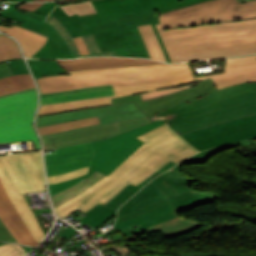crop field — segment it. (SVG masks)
Returning <instances> with one entry per match:
<instances>
[{"label":"crop field","mask_w":256,"mask_h":256,"mask_svg":"<svg viewBox=\"0 0 256 256\" xmlns=\"http://www.w3.org/2000/svg\"><path fill=\"white\" fill-rule=\"evenodd\" d=\"M69 73L35 79L41 94L111 85L115 95L41 105L38 116L111 105V98L136 93L145 101L186 89L192 84L173 89L169 86L195 81L189 63L123 66Z\"/></svg>","instance_id":"1"},{"label":"crop field","mask_w":256,"mask_h":256,"mask_svg":"<svg viewBox=\"0 0 256 256\" xmlns=\"http://www.w3.org/2000/svg\"><path fill=\"white\" fill-rule=\"evenodd\" d=\"M145 143L112 173L75 198L55 207L65 218L78 209L87 212L97 204H106L128 183L139 184L162 166L173 160L180 162L197 151L166 124L138 137Z\"/></svg>","instance_id":"2"},{"label":"crop field","mask_w":256,"mask_h":256,"mask_svg":"<svg viewBox=\"0 0 256 256\" xmlns=\"http://www.w3.org/2000/svg\"><path fill=\"white\" fill-rule=\"evenodd\" d=\"M156 26L173 62L256 53V19L182 29Z\"/></svg>","instance_id":"3"},{"label":"crop field","mask_w":256,"mask_h":256,"mask_svg":"<svg viewBox=\"0 0 256 256\" xmlns=\"http://www.w3.org/2000/svg\"><path fill=\"white\" fill-rule=\"evenodd\" d=\"M252 113H256V82L221 89L190 104L184 101L149 119L167 121L182 133Z\"/></svg>","instance_id":"4"},{"label":"crop field","mask_w":256,"mask_h":256,"mask_svg":"<svg viewBox=\"0 0 256 256\" xmlns=\"http://www.w3.org/2000/svg\"><path fill=\"white\" fill-rule=\"evenodd\" d=\"M99 17L86 18L90 28L85 29L78 15L69 17L59 6L55 15L69 30L72 37L85 36L123 28L158 24L153 15L155 6L178 0H90ZM148 9V11H146Z\"/></svg>","instance_id":"5"},{"label":"crop field","mask_w":256,"mask_h":256,"mask_svg":"<svg viewBox=\"0 0 256 256\" xmlns=\"http://www.w3.org/2000/svg\"><path fill=\"white\" fill-rule=\"evenodd\" d=\"M0 179L39 244L45 235L23 194L46 190L41 152L0 156Z\"/></svg>","instance_id":"6"},{"label":"crop field","mask_w":256,"mask_h":256,"mask_svg":"<svg viewBox=\"0 0 256 256\" xmlns=\"http://www.w3.org/2000/svg\"><path fill=\"white\" fill-rule=\"evenodd\" d=\"M254 18H256V0L243 2L239 0H209L160 14L163 29Z\"/></svg>","instance_id":"7"},{"label":"crop field","mask_w":256,"mask_h":256,"mask_svg":"<svg viewBox=\"0 0 256 256\" xmlns=\"http://www.w3.org/2000/svg\"><path fill=\"white\" fill-rule=\"evenodd\" d=\"M163 124L164 122L159 120L157 122L124 132L109 139L92 142L91 145L94 149V154L88 174L65 182L49 185L51 195L80 182L96 170L108 175L144 143L136 137Z\"/></svg>","instance_id":"8"},{"label":"crop field","mask_w":256,"mask_h":256,"mask_svg":"<svg viewBox=\"0 0 256 256\" xmlns=\"http://www.w3.org/2000/svg\"><path fill=\"white\" fill-rule=\"evenodd\" d=\"M37 91L0 98V142L33 140L41 149L33 127Z\"/></svg>","instance_id":"9"},{"label":"crop field","mask_w":256,"mask_h":256,"mask_svg":"<svg viewBox=\"0 0 256 256\" xmlns=\"http://www.w3.org/2000/svg\"><path fill=\"white\" fill-rule=\"evenodd\" d=\"M199 151L256 137V114L180 134Z\"/></svg>","instance_id":"10"},{"label":"crop field","mask_w":256,"mask_h":256,"mask_svg":"<svg viewBox=\"0 0 256 256\" xmlns=\"http://www.w3.org/2000/svg\"><path fill=\"white\" fill-rule=\"evenodd\" d=\"M220 147H223V146H220ZM220 147H216V148H220ZM216 148H212V149L200 152L188 158L187 160L183 161L182 163L178 164L176 167L172 168L168 172L160 175L167 181V183L173 188V190L179 194L173 198L168 199L173 209L176 212L185 210L190 207L211 202L217 198V195L214 193L201 192V191L191 189L190 184L196 181L193 178L184 175L180 168L183 164L187 163L188 161L193 160L197 157H200Z\"/></svg>","instance_id":"11"},{"label":"crop field","mask_w":256,"mask_h":256,"mask_svg":"<svg viewBox=\"0 0 256 256\" xmlns=\"http://www.w3.org/2000/svg\"><path fill=\"white\" fill-rule=\"evenodd\" d=\"M151 123L148 118L116 122L106 126H98L69 133L44 137V150L82 144L109 138L132 128Z\"/></svg>","instance_id":"12"},{"label":"crop field","mask_w":256,"mask_h":256,"mask_svg":"<svg viewBox=\"0 0 256 256\" xmlns=\"http://www.w3.org/2000/svg\"><path fill=\"white\" fill-rule=\"evenodd\" d=\"M95 116H98L101 122V124H98V125H101V126L114 123L115 121L146 117L133 102H130V103L116 105V106H107V107H101V108H95V109H89V110H80V111L60 114V115L40 117V118H37V127L65 122V121L95 117ZM98 125H93V126H98ZM93 126H88V127H93ZM88 127H83V128H88ZM83 128H78V129H83ZM78 129H73V130H78ZM73 130L43 135L41 137L69 132Z\"/></svg>","instance_id":"13"},{"label":"crop field","mask_w":256,"mask_h":256,"mask_svg":"<svg viewBox=\"0 0 256 256\" xmlns=\"http://www.w3.org/2000/svg\"><path fill=\"white\" fill-rule=\"evenodd\" d=\"M217 90L218 89L215 87L211 78H209L187 90L176 92L161 98H157V99H153L145 102L142 101L139 94L120 97V98H114L112 99V101H113V105L133 101L141 109V111L147 117H149L175 104H178L184 100L191 102L193 100H196L204 95H208Z\"/></svg>","instance_id":"14"},{"label":"crop field","mask_w":256,"mask_h":256,"mask_svg":"<svg viewBox=\"0 0 256 256\" xmlns=\"http://www.w3.org/2000/svg\"><path fill=\"white\" fill-rule=\"evenodd\" d=\"M100 51L116 50V56L151 58L137 27L94 35Z\"/></svg>","instance_id":"15"},{"label":"crop field","mask_w":256,"mask_h":256,"mask_svg":"<svg viewBox=\"0 0 256 256\" xmlns=\"http://www.w3.org/2000/svg\"><path fill=\"white\" fill-rule=\"evenodd\" d=\"M55 150L57 153L45 156L48 176L89 165L93 154L89 143Z\"/></svg>","instance_id":"16"},{"label":"crop field","mask_w":256,"mask_h":256,"mask_svg":"<svg viewBox=\"0 0 256 256\" xmlns=\"http://www.w3.org/2000/svg\"><path fill=\"white\" fill-rule=\"evenodd\" d=\"M226 73L196 78L204 80L211 77L218 89L235 84L256 81V55L241 56L225 59Z\"/></svg>","instance_id":"17"},{"label":"crop field","mask_w":256,"mask_h":256,"mask_svg":"<svg viewBox=\"0 0 256 256\" xmlns=\"http://www.w3.org/2000/svg\"><path fill=\"white\" fill-rule=\"evenodd\" d=\"M1 16L11 18L17 21L23 22L24 27L33 29L37 32H40L46 36L47 42L46 44L33 56V58H74L71 51L67 47L66 43L60 36V34L49 24H45V26L30 22L12 15H8L0 12Z\"/></svg>","instance_id":"18"},{"label":"crop field","mask_w":256,"mask_h":256,"mask_svg":"<svg viewBox=\"0 0 256 256\" xmlns=\"http://www.w3.org/2000/svg\"><path fill=\"white\" fill-rule=\"evenodd\" d=\"M3 200V201H1ZM0 219L18 241V243L36 247L38 244L31 235L25 222L10 201L0 181Z\"/></svg>","instance_id":"19"},{"label":"crop field","mask_w":256,"mask_h":256,"mask_svg":"<svg viewBox=\"0 0 256 256\" xmlns=\"http://www.w3.org/2000/svg\"><path fill=\"white\" fill-rule=\"evenodd\" d=\"M177 195L160 176L153 179L144 189L123 205L118 216ZM117 216V217H118Z\"/></svg>","instance_id":"20"},{"label":"crop field","mask_w":256,"mask_h":256,"mask_svg":"<svg viewBox=\"0 0 256 256\" xmlns=\"http://www.w3.org/2000/svg\"><path fill=\"white\" fill-rule=\"evenodd\" d=\"M67 71L85 70L112 66L162 63L148 59L123 57H97L71 60H57Z\"/></svg>","instance_id":"21"},{"label":"crop field","mask_w":256,"mask_h":256,"mask_svg":"<svg viewBox=\"0 0 256 256\" xmlns=\"http://www.w3.org/2000/svg\"><path fill=\"white\" fill-rule=\"evenodd\" d=\"M15 26H17V28H15ZM0 30L14 36L20 41L26 57L38 51L45 44L47 38L33 30L14 24H12L11 27L0 25Z\"/></svg>","instance_id":"22"},{"label":"crop field","mask_w":256,"mask_h":256,"mask_svg":"<svg viewBox=\"0 0 256 256\" xmlns=\"http://www.w3.org/2000/svg\"><path fill=\"white\" fill-rule=\"evenodd\" d=\"M51 26H53L63 37L65 42L67 43L68 47L72 51L73 55L76 57H89V56H101V55H112L115 56V51L112 52H104L100 53L99 48L93 38V36H85L82 37L84 40V43L87 47V50L89 54L80 55L73 39L71 38L68 30L65 28V26L53 15H49L47 18V21Z\"/></svg>","instance_id":"23"},{"label":"crop field","mask_w":256,"mask_h":256,"mask_svg":"<svg viewBox=\"0 0 256 256\" xmlns=\"http://www.w3.org/2000/svg\"><path fill=\"white\" fill-rule=\"evenodd\" d=\"M202 225H204V224L177 217L172 220L149 227L145 230L148 233L162 230L165 237L170 238V237L180 236L182 234H185L187 232L195 230L196 228H198ZM140 232H142V231H140ZM133 235H131V236H133ZM131 236H129V237H131Z\"/></svg>","instance_id":"24"},{"label":"crop field","mask_w":256,"mask_h":256,"mask_svg":"<svg viewBox=\"0 0 256 256\" xmlns=\"http://www.w3.org/2000/svg\"><path fill=\"white\" fill-rule=\"evenodd\" d=\"M104 176L105 175L96 171L95 173H93L92 175H90L88 178L81 181L80 183L76 184L75 186H73L63 192L52 195L51 198H52L54 207L71 199L72 197L76 196L77 194L81 193L86 188H88L89 186H91L92 184H94L95 182H97L98 180L103 178Z\"/></svg>","instance_id":"25"},{"label":"crop field","mask_w":256,"mask_h":256,"mask_svg":"<svg viewBox=\"0 0 256 256\" xmlns=\"http://www.w3.org/2000/svg\"><path fill=\"white\" fill-rule=\"evenodd\" d=\"M36 87L30 74L0 79V95Z\"/></svg>","instance_id":"26"},{"label":"crop field","mask_w":256,"mask_h":256,"mask_svg":"<svg viewBox=\"0 0 256 256\" xmlns=\"http://www.w3.org/2000/svg\"><path fill=\"white\" fill-rule=\"evenodd\" d=\"M114 94L111 88L41 98V104Z\"/></svg>","instance_id":"27"},{"label":"crop field","mask_w":256,"mask_h":256,"mask_svg":"<svg viewBox=\"0 0 256 256\" xmlns=\"http://www.w3.org/2000/svg\"><path fill=\"white\" fill-rule=\"evenodd\" d=\"M153 59L165 61L151 25L138 27Z\"/></svg>","instance_id":"28"},{"label":"crop field","mask_w":256,"mask_h":256,"mask_svg":"<svg viewBox=\"0 0 256 256\" xmlns=\"http://www.w3.org/2000/svg\"><path fill=\"white\" fill-rule=\"evenodd\" d=\"M98 123L100 122L98 118L95 117V118H89V119H83V120H77V121L65 122V123H60V124H55L50 126L39 127L37 129L40 135H43V134L78 128V127L98 124Z\"/></svg>","instance_id":"29"},{"label":"crop field","mask_w":256,"mask_h":256,"mask_svg":"<svg viewBox=\"0 0 256 256\" xmlns=\"http://www.w3.org/2000/svg\"><path fill=\"white\" fill-rule=\"evenodd\" d=\"M23 57L18 44L11 38L0 36V62Z\"/></svg>","instance_id":"30"},{"label":"crop field","mask_w":256,"mask_h":256,"mask_svg":"<svg viewBox=\"0 0 256 256\" xmlns=\"http://www.w3.org/2000/svg\"><path fill=\"white\" fill-rule=\"evenodd\" d=\"M69 16L77 13L78 15L96 12L90 1L62 5L60 6Z\"/></svg>","instance_id":"31"},{"label":"crop field","mask_w":256,"mask_h":256,"mask_svg":"<svg viewBox=\"0 0 256 256\" xmlns=\"http://www.w3.org/2000/svg\"><path fill=\"white\" fill-rule=\"evenodd\" d=\"M169 208H171L170 203L165 205V206H163V207H160V208L148 211L146 213L134 216V217H132V218L126 220V221H123V222H120V223H116L114 227L117 228V229L125 227V226L133 224V223H135V222H137L139 220H142V219H145L147 217L159 214V213H161V212H163V211H165V210H167Z\"/></svg>","instance_id":"32"},{"label":"crop field","mask_w":256,"mask_h":256,"mask_svg":"<svg viewBox=\"0 0 256 256\" xmlns=\"http://www.w3.org/2000/svg\"><path fill=\"white\" fill-rule=\"evenodd\" d=\"M32 71L63 68L56 60L27 59Z\"/></svg>","instance_id":"33"},{"label":"crop field","mask_w":256,"mask_h":256,"mask_svg":"<svg viewBox=\"0 0 256 256\" xmlns=\"http://www.w3.org/2000/svg\"><path fill=\"white\" fill-rule=\"evenodd\" d=\"M88 167L89 166H86V167H83L81 169L71 171V172H68V173L55 175V176H50V177H48L49 184L65 181V180H68V179L75 178V177L81 176L83 174H86L87 171H88Z\"/></svg>","instance_id":"34"},{"label":"crop field","mask_w":256,"mask_h":256,"mask_svg":"<svg viewBox=\"0 0 256 256\" xmlns=\"http://www.w3.org/2000/svg\"><path fill=\"white\" fill-rule=\"evenodd\" d=\"M25 254L27 253L17 244L7 243L0 246V256H24Z\"/></svg>","instance_id":"35"},{"label":"crop field","mask_w":256,"mask_h":256,"mask_svg":"<svg viewBox=\"0 0 256 256\" xmlns=\"http://www.w3.org/2000/svg\"><path fill=\"white\" fill-rule=\"evenodd\" d=\"M201 1H205V0H182V1L175 2V3L155 7V10L158 11L159 13H162V12H166V11H169L172 9H176V8H179L182 6L190 5V4L201 2ZM176 6H178V7H176Z\"/></svg>","instance_id":"36"},{"label":"crop field","mask_w":256,"mask_h":256,"mask_svg":"<svg viewBox=\"0 0 256 256\" xmlns=\"http://www.w3.org/2000/svg\"><path fill=\"white\" fill-rule=\"evenodd\" d=\"M9 65L14 75L30 73L24 59L11 61Z\"/></svg>","instance_id":"37"},{"label":"crop field","mask_w":256,"mask_h":256,"mask_svg":"<svg viewBox=\"0 0 256 256\" xmlns=\"http://www.w3.org/2000/svg\"><path fill=\"white\" fill-rule=\"evenodd\" d=\"M166 203H168L167 199H166V200H163V201H161V202L155 203V204H153V205L147 206V207H145V208L139 209V210H137V211L131 212V213H129V214L123 215V216H121V217H118V218L116 219V222L123 221V220H125V219H127V218H129V217H131V216H134V215H137V214L146 212V211H148V210H151V209L160 207V206H162V205H164V204H166ZM116 222H115V223H116Z\"/></svg>","instance_id":"38"},{"label":"crop field","mask_w":256,"mask_h":256,"mask_svg":"<svg viewBox=\"0 0 256 256\" xmlns=\"http://www.w3.org/2000/svg\"><path fill=\"white\" fill-rule=\"evenodd\" d=\"M102 247L107 250V252L110 254V256H113V255L125 256L128 253H130V251H131L126 245L102 246Z\"/></svg>","instance_id":"39"},{"label":"crop field","mask_w":256,"mask_h":256,"mask_svg":"<svg viewBox=\"0 0 256 256\" xmlns=\"http://www.w3.org/2000/svg\"><path fill=\"white\" fill-rule=\"evenodd\" d=\"M174 217H177V214H176V213H173V214L164 216V217L159 218V219H157V220H154V221H152V222H150V223H147V224H145V225H142V226L137 227V228H135V229H132V230H130V231L124 232V234L127 235V236H129V235H131V234H133V233H136V232H138V231H140V230H142V229H144V228H147V227L152 226V225H155V224H157V223H160V222H163V221L172 219V218H174Z\"/></svg>","instance_id":"40"},{"label":"crop field","mask_w":256,"mask_h":256,"mask_svg":"<svg viewBox=\"0 0 256 256\" xmlns=\"http://www.w3.org/2000/svg\"><path fill=\"white\" fill-rule=\"evenodd\" d=\"M0 241H13L17 242L14 237L11 235V233L8 231V229L5 227V225L0 220Z\"/></svg>","instance_id":"41"},{"label":"crop field","mask_w":256,"mask_h":256,"mask_svg":"<svg viewBox=\"0 0 256 256\" xmlns=\"http://www.w3.org/2000/svg\"><path fill=\"white\" fill-rule=\"evenodd\" d=\"M34 77L48 76V75H57V74H68L65 69H56V70H45V71H36L32 72Z\"/></svg>","instance_id":"42"},{"label":"crop field","mask_w":256,"mask_h":256,"mask_svg":"<svg viewBox=\"0 0 256 256\" xmlns=\"http://www.w3.org/2000/svg\"><path fill=\"white\" fill-rule=\"evenodd\" d=\"M20 4H22V3L11 4L12 5L11 7L3 10L2 12L12 14V15H15V16H18V17H21V18H24V19H27V20H30V21H34V22H37V23H40V24H42V23L45 24V22H43V21H39V20H36V19H33V18H29V17L23 16V15H19V14L14 13L15 8Z\"/></svg>","instance_id":"43"},{"label":"crop field","mask_w":256,"mask_h":256,"mask_svg":"<svg viewBox=\"0 0 256 256\" xmlns=\"http://www.w3.org/2000/svg\"><path fill=\"white\" fill-rule=\"evenodd\" d=\"M176 165V163L174 162H169L167 165H165L164 167H162L160 170H158L157 172H155L153 175H151L150 177H148L146 180H144L143 182H141L138 186L142 187L143 185H145L147 182H149L151 179H153L155 176H157L158 174H160L161 172L171 168L172 166Z\"/></svg>","instance_id":"44"},{"label":"crop field","mask_w":256,"mask_h":256,"mask_svg":"<svg viewBox=\"0 0 256 256\" xmlns=\"http://www.w3.org/2000/svg\"><path fill=\"white\" fill-rule=\"evenodd\" d=\"M55 6H56V2L46 3L40 8H38L37 10H35L34 12L48 15Z\"/></svg>","instance_id":"45"},{"label":"crop field","mask_w":256,"mask_h":256,"mask_svg":"<svg viewBox=\"0 0 256 256\" xmlns=\"http://www.w3.org/2000/svg\"><path fill=\"white\" fill-rule=\"evenodd\" d=\"M152 27H153V29H154V32H155L156 37H157V39H158V42H159V44H160V46H161V49H162V51H163V54H164V56H165L166 61H167V62H171V60H170V58H169V56H168V53H167V51H166V49H165V46H164V44H163V42H162V40H161V37H160V35H159V33H158V30H157L156 26L154 25V26H152Z\"/></svg>","instance_id":"46"},{"label":"crop field","mask_w":256,"mask_h":256,"mask_svg":"<svg viewBox=\"0 0 256 256\" xmlns=\"http://www.w3.org/2000/svg\"><path fill=\"white\" fill-rule=\"evenodd\" d=\"M13 75L7 62L0 64V78Z\"/></svg>","instance_id":"47"},{"label":"crop field","mask_w":256,"mask_h":256,"mask_svg":"<svg viewBox=\"0 0 256 256\" xmlns=\"http://www.w3.org/2000/svg\"><path fill=\"white\" fill-rule=\"evenodd\" d=\"M77 232H78L77 230H75L73 227L69 226L63 232H61L59 235L69 239L70 237H72Z\"/></svg>","instance_id":"48"},{"label":"crop field","mask_w":256,"mask_h":256,"mask_svg":"<svg viewBox=\"0 0 256 256\" xmlns=\"http://www.w3.org/2000/svg\"><path fill=\"white\" fill-rule=\"evenodd\" d=\"M74 41L81 54L88 53L81 37L74 38Z\"/></svg>","instance_id":"49"},{"label":"crop field","mask_w":256,"mask_h":256,"mask_svg":"<svg viewBox=\"0 0 256 256\" xmlns=\"http://www.w3.org/2000/svg\"><path fill=\"white\" fill-rule=\"evenodd\" d=\"M44 3H25L21 6H19V8H23V9H27V10H35L36 8L40 7L41 5H43Z\"/></svg>","instance_id":"50"},{"label":"crop field","mask_w":256,"mask_h":256,"mask_svg":"<svg viewBox=\"0 0 256 256\" xmlns=\"http://www.w3.org/2000/svg\"><path fill=\"white\" fill-rule=\"evenodd\" d=\"M230 147H234V146H233V145H229V146H226V147H223V148H220V149H216V150H214V151H212V152L206 154L205 156L200 157V158H198V159H195V160H193V161H191V162L203 161V160H205L206 158H208L210 155H212V154H214V153H216V152H218V151H220V150L227 149V148H230ZM191 162H189V163H191Z\"/></svg>","instance_id":"51"},{"label":"crop field","mask_w":256,"mask_h":256,"mask_svg":"<svg viewBox=\"0 0 256 256\" xmlns=\"http://www.w3.org/2000/svg\"><path fill=\"white\" fill-rule=\"evenodd\" d=\"M108 87H110V86L98 87V88H91V89H84V90H76V91H69V92H62V93H55V94H48V95H41V97H44V96H51V95H58V94H65V93H72V92L87 91V90H94V89H101V88H108Z\"/></svg>","instance_id":"52"},{"label":"crop field","mask_w":256,"mask_h":256,"mask_svg":"<svg viewBox=\"0 0 256 256\" xmlns=\"http://www.w3.org/2000/svg\"><path fill=\"white\" fill-rule=\"evenodd\" d=\"M16 13H20V14H23V15H26V16H30V17H33V18H36V19H40V20H45V17H41V16H37V15H33V14H29V13H25V12H21V11H15Z\"/></svg>","instance_id":"53"},{"label":"crop field","mask_w":256,"mask_h":256,"mask_svg":"<svg viewBox=\"0 0 256 256\" xmlns=\"http://www.w3.org/2000/svg\"><path fill=\"white\" fill-rule=\"evenodd\" d=\"M91 16H98V15H97V13H94V14H88V15L79 16V17L82 19V21H83V23H84V25H85L86 28L88 27V25H87V23H86L84 17H91Z\"/></svg>","instance_id":"54"},{"label":"crop field","mask_w":256,"mask_h":256,"mask_svg":"<svg viewBox=\"0 0 256 256\" xmlns=\"http://www.w3.org/2000/svg\"><path fill=\"white\" fill-rule=\"evenodd\" d=\"M36 88L34 89H29V90H25V91H31V90H35ZM25 91H21V92H25ZM21 92H17V93H21ZM17 93H12V94H8V95H4V96H9V95H13V94H17ZM4 96H0V97H4Z\"/></svg>","instance_id":"55"},{"label":"crop field","mask_w":256,"mask_h":256,"mask_svg":"<svg viewBox=\"0 0 256 256\" xmlns=\"http://www.w3.org/2000/svg\"><path fill=\"white\" fill-rule=\"evenodd\" d=\"M127 256H137V254L130 253V254L127 255ZM146 256H152V255H146Z\"/></svg>","instance_id":"56"},{"label":"crop field","mask_w":256,"mask_h":256,"mask_svg":"<svg viewBox=\"0 0 256 256\" xmlns=\"http://www.w3.org/2000/svg\"><path fill=\"white\" fill-rule=\"evenodd\" d=\"M7 1H31V0H7Z\"/></svg>","instance_id":"57"},{"label":"crop field","mask_w":256,"mask_h":256,"mask_svg":"<svg viewBox=\"0 0 256 256\" xmlns=\"http://www.w3.org/2000/svg\"><path fill=\"white\" fill-rule=\"evenodd\" d=\"M33 1H45V0H33Z\"/></svg>","instance_id":"58"},{"label":"crop field","mask_w":256,"mask_h":256,"mask_svg":"<svg viewBox=\"0 0 256 256\" xmlns=\"http://www.w3.org/2000/svg\"><path fill=\"white\" fill-rule=\"evenodd\" d=\"M1 144H8V143H0V145H1Z\"/></svg>","instance_id":"59"},{"label":"crop field","mask_w":256,"mask_h":256,"mask_svg":"<svg viewBox=\"0 0 256 256\" xmlns=\"http://www.w3.org/2000/svg\"><path fill=\"white\" fill-rule=\"evenodd\" d=\"M2 244H4V243H2ZM1 245V244H0Z\"/></svg>","instance_id":"60"},{"label":"crop field","mask_w":256,"mask_h":256,"mask_svg":"<svg viewBox=\"0 0 256 256\" xmlns=\"http://www.w3.org/2000/svg\"><path fill=\"white\" fill-rule=\"evenodd\" d=\"M241 1H243V0H241Z\"/></svg>","instance_id":"61"},{"label":"crop field","mask_w":256,"mask_h":256,"mask_svg":"<svg viewBox=\"0 0 256 256\" xmlns=\"http://www.w3.org/2000/svg\"><path fill=\"white\" fill-rule=\"evenodd\" d=\"M1 243V242H0Z\"/></svg>","instance_id":"62"}]
</instances>
